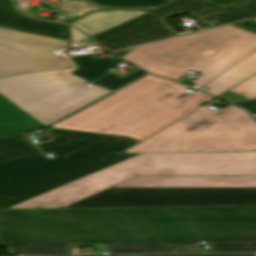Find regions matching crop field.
<instances>
[{"label":"crop field","instance_id":"28","mask_svg":"<svg viewBox=\"0 0 256 256\" xmlns=\"http://www.w3.org/2000/svg\"><path fill=\"white\" fill-rule=\"evenodd\" d=\"M8 13L21 14V13L17 10V8L15 7L13 1H12V3H11V6H10L9 10H8ZM21 15H22V14H21Z\"/></svg>","mask_w":256,"mask_h":256},{"label":"crop field","instance_id":"18","mask_svg":"<svg viewBox=\"0 0 256 256\" xmlns=\"http://www.w3.org/2000/svg\"><path fill=\"white\" fill-rule=\"evenodd\" d=\"M99 8L154 9L171 0H85Z\"/></svg>","mask_w":256,"mask_h":256},{"label":"crop field","instance_id":"4","mask_svg":"<svg viewBox=\"0 0 256 256\" xmlns=\"http://www.w3.org/2000/svg\"><path fill=\"white\" fill-rule=\"evenodd\" d=\"M255 50V34L227 26L138 47L122 58L175 80L197 71L203 75L191 85L202 87Z\"/></svg>","mask_w":256,"mask_h":256},{"label":"crop field","instance_id":"21","mask_svg":"<svg viewBox=\"0 0 256 256\" xmlns=\"http://www.w3.org/2000/svg\"><path fill=\"white\" fill-rule=\"evenodd\" d=\"M62 14L70 17H78L98 8L84 2L71 1L55 6Z\"/></svg>","mask_w":256,"mask_h":256},{"label":"crop field","instance_id":"12","mask_svg":"<svg viewBox=\"0 0 256 256\" xmlns=\"http://www.w3.org/2000/svg\"><path fill=\"white\" fill-rule=\"evenodd\" d=\"M113 187H256V177L138 176Z\"/></svg>","mask_w":256,"mask_h":256},{"label":"crop field","instance_id":"15","mask_svg":"<svg viewBox=\"0 0 256 256\" xmlns=\"http://www.w3.org/2000/svg\"><path fill=\"white\" fill-rule=\"evenodd\" d=\"M41 127L40 123L0 95V137Z\"/></svg>","mask_w":256,"mask_h":256},{"label":"crop field","instance_id":"1","mask_svg":"<svg viewBox=\"0 0 256 256\" xmlns=\"http://www.w3.org/2000/svg\"><path fill=\"white\" fill-rule=\"evenodd\" d=\"M256 252V206L0 210V244L22 255L69 254L102 243L110 253Z\"/></svg>","mask_w":256,"mask_h":256},{"label":"crop field","instance_id":"22","mask_svg":"<svg viewBox=\"0 0 256 256\" xmlns=\"http://www.w3.org/2000/svg\"><path fill=\"white\" fill-rule=\"evenodd\" d=\"M114 65H104V66H94V67H84L81 68L80 70L76 71L75 75L82 77L87 80H94L106 73H109L107 70L114 67ZM93 82V81H92Z\"/></svg>","mask_w":256,"mask_h":256},{"label":"crop field","instance_id":"8","mask_svg":"<svg viewBox=\"0 0 256 256\" xmlns=\"http://www.w3.org/2000/svg\"><path fill=\"white\" fill-rule=\"evenodd\" d=\"M186 12L198 23L214 19L222 25L255 17L256 0H241L225 7L205 0H176L91 37L113 51L176 36L160 19Z\"/></svg>","mask_w":256,"mask_h":256},{"label":"crop field","instance_id":"9","mask_svg":"<svg viewBox=\"0 0 256 256\" xmlns=\"http://www.w3.org/2000/svg\"><path fill=\"white\" fill-rule=\"evenodd\" d=\"M256 205V188H108L63 208Z\"/></svg>","mask_w":256,"mask_h":256},{"label":"crop field","instance_id":"16","mask_svg":"<svg viewBox=\"0 0 256 256\" xmlns=\"http://www.w3.org/2000/svg\"><path fill=\"white\" fill-rule=\"evenodd\" d=\"M256 73V51L218 76L205 87V92L217 96L237 83Z\"/></svg>","mask_w":256,"mask_h":256},{"label":"crop field","instance_id":"17","mask_svg":"<svg viewBox=\"0 0 256 256\" xmlns=\"http://www.w3.org/2000/svg\"><path fill=\"white\" fill-rule=\"evenodd\" d=\"M76 67L70 58L50 60L44 62L30 63L24 65L10 66L0 68V78L19 73H27L33 71L63 69Z\"/></svg>","mask_w":256,"mask_h":256},{"label":"crop field","instance_id":"7","mask_svg":"<svg viewBox=\"0 0 256 256\" xmlns=\"http://www.w3.org/2000/svg\"><path fill=\"white\" fill-rule=\"evenodd\" d=\"M19 74L0 79V94L46 126L111 92L70 74L76 70Z\"/></svg>","mask_w":256,"mask_h":256},{"label":"crop field","instance_id":"23","mask_svg":"<svg viewBox=\"0 0 256 256\" xmlns=\"http://www.w3.org/2000/svg\"><path fill=\"white\" fill-rule=\"evenodd\" d=\"M72 59L77 64L78 67L125 62L121 59H109V58L93 60L94 58L92 59L91 55L74 57Z\"/></svg>","mask_w":256,"mask_h":256},{"label":"crop field","instance_id":"13","mask_svg":"<svg viewBox=\"0 0 256 256\" xmlns=\"http://www.w3.org/2000/svg\"><path fill=\"white\" fill-rule=\"evenodd\" d=\"M12 0H0V27L64 38L69 40L68 25L38 21L25 16L8 14Z\"/></svg>","mask_w":256,"mask_h":256},{"label":"crop field","instance_id":"2","mask_svg":"<svg viewBox=\"0 0 256 256\" xmlns=\"http://www.w3.org/2000/svg\"><path fill=\"white\" fill-rule=\"evenodd\" d=\"M148 75L52 125V128L131 136L144 140L212 97Z\"/></svg>","mask_w":256,"mask_h":256},{"label":"crop field","instance_id":"10","mask_svg":"<svg viewBox=\"0 0 256 256\" xmlns=\"http://www.w3.org/2000/svg\"><path fill=\"white\" fill-rule=\"evenodd\" d=\"M138 154H100L83 159L30 182L0 193V209H7L32 197L73 182Z\"/></svg>","mask_w":256,"mask_h":256},{"label":"crop field","instance_id":"6","mask_svg":"<svg viewBox=\"0 0 256 256\" xmlns=\"http://www.w3.org/2000/svg\"><path fill=\"white\" fill-rule=\"evenodd\" d=\"M138 142L131 137L84 133L36 144L54 156L47 158L22 134L0 138V192L94 154L123 152Z\"/></svg>","mask_w":256,"mask_h":256},{"label":"crop field","instance_id":"20","mask_svg":"<svg viewBox=\"0 0 256 256\" xmlns=\"http://www.w3.org/2000/svg\"><path fill=\"white\" fill-rule=\"evenodd\" d=\"M144 73L142 70L138 69L124 77L118 76L116 74L110 73L104 77H102L101 79L95 81L96 83L103 85L105 87H108L112 90H115L141 76H143Z\"/></svg>","mask_w":256,"mask_h":256},{"label":"crop field","instance_id":"27","mask_svg":"<svg viewBox=\"0 0 256 256\" xmlns=\"http://www.w3.org/2000/svg\"><path fill=\"white\" fill-rule=\"evenodd\" d=\"M94 44L90 39L86 38L78 43H74L75 46H80V45H91Z\"/></svg>","mask_w":256,"mask_h":256},{"label":"crop field","instance_id":"3","mask_svg":"<svg viewBox=\"0 0 256 256\" xmlns=\"http://www.w3.org/2000/svg\"><path fill=\"white\" fill-rule=\"evenodd\" d=\"M138 175L256 176V152L141 154L9 209L60 208Z\"/></svg>","mask_w":256,"mask_h":256},{"label":"crop field","instance_id":"14","mask_svg":"<svg viewBox=\"0 0 256 256\" xmlns=\"http://www.w3.org/2000/svg\"><path fill=\"white\" fill-rule=\"evenodd\" d=\"M148 11L132 10H106L87 14L73 22V25L81 29L87 35L103 31L126 20L134 18Z\"/></svg>","mask_w":256,"mask_h":256},{"label":"crop field","instance_id":"26","mask_svg":"<svg viewBox=\"0 0 256 256\" xmlns=\"http://www.w3.org/2000/svg\"><path fill=\"white\" fill-rule=\"evenodd\" d=\"M70 32H71L72 41H74V42H77V41H80V40L86 38L84 35H82L80 32H78L71 26H70Z\"/></svg>","mask_w":256,"mask_h":256},{"label":"crop field","instance_id":"19","mask_svg":"<svg viewBox=\"0 0 256 256\" xmlns=\"http://www.w3.org/2000/svg\"><path fill=\"white\" fill-rule=\"evenodd\" d=\"M256 97V74L218 98L235 101Z\"/></svg>","mask_w":256,"mask_h":256},{"label":"crop field","instance_id":"24","mask_svg":"<svg viewBox=\"0 0 256 256\" xmlns=\"http://www.w3.org/2000/svg\"><path fill=\"white\" fill-rule=\"evenodd\" d=\"M234 104L239 105V106L247 109L251 114L256 113V100L237 102V103H234Z\"/></svg>","mask_w":256,"mask_h":256},{"label":"crop field","instance_id":"5","mask_svg":"<svg viewBox=\"0 0 256 256\" xmlns=\"http://www.w3.org/2000/svg\"><path fill=\"white\" fill-rule=\"evenodd\" d=\"M242 151H256V123L230 105L215 111L201 106L126 153Z\"/></svg>","mask_w":256,"mask_h":256},{"label":"crop field","instance_id":"25","mask_svg":"<svg viewBox=\"0 0 256 256\" xmlns=\"http://www.w3.org/2000/svg\"><path fill=\"white\" fill-rule=\"evenodd\" d=\"M131 256V255H124ZM149 256H256V254H216V255H149Z\"/></svg>","mask_w":256,"mask_h":256},{"label":"crop field","instance_id":"11","mask_svg":"<svg viewBox=\"0 0 256 256\" xmlns=\"http://www.w3.org/2000/svg\"><path fill=\"white\" fill-rule=\"evenodd\" d=\"M69 42L0 28V66L56 57Z\"/></svg>","mask_w":256,"mask_h":256}]
</instances>
